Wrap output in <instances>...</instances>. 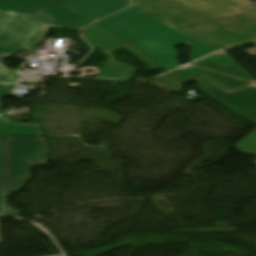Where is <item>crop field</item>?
<instances>
[{
	"mask_svg": "<svg viewBox=\"0 0 256 256\" xmlns=\"http://www.w3.org/2000/svg\"><path fill=\"white\" fill-rule=\"evenodd\" d=\"M88 23L53 0H0V82L18 80L3 59L35 43L45 27L79 30Z\"/></svg>",
	"mask_w": 256,
	"mask_h": 256,
	"instance_id": "8a807250",
	"label": "crop field"
},
{
	"mask_svg": "<svg viewBox=\"0 0 256 256\" xmlns=\"http://www.w3.org/2000/svg\"><path fill=\"white\" fill-rule=\"evenodd\" d=\"M96 24L126 39L167 71L177 67L174 47L180 43L192 45L191 61L217 50L196 44L189 39L192 35L135 8Z\"/></svg>",
	"mask_w": 256,
	"mask_h": 256,
	"instance_id": "ac0d7876",
	"label": "crop field"
},
{
	"mask_svg": "<svg viewBox=\"0 0 256 256\" xmlns=\"http://www.w3.org/2000/svg\"><path fill=\"white\" fill-rule=\"evenodd\" d=\"M171 74L184 83L206 74L229 90L254 83L228 92L206 76L197 79L204 84L200 86L202 92L256 124V81L227 51L212 54Z\"/></svg>",
	"mask_w": 256,
	"mask_h": 256,
	"instance_id": "34b2d1b8",
	"label": "crop field"
},
{
	"mask_svg": "<svg viewBox=\"0 0 256 256\" xmlns=\"http://www.w3.org/2000/svg\"><path fill=\"white\" fill-rule=\"evenodd\" d=\"M49 153L45 139H10L8 179L30 178L33 167L47 164Z\"/></svg>",
	"mask_w": 256,
	"mask_h": 256,
	"instance_id": "412701ff",
	"label": "crop field"
},
{
	"mask_svg": "<svg viewBox=\"0 0 256 256\" xmlns=\"http://www.w3.org/2000/svg\"><path fill=\"white\" fill-rule=\"evenodd\" d=\"M189 8L197 10L206 16L216 17L238 13L254 12L253 8L238 0H175Z\"/></svg>",
	"mask_w": 256,
	"mask_h": 256,
	"instance_id": "f4fd0767",
	"label": "crop field"
},
{
	"mask_svg": "<svg viewBox=\"0 0 256 256\" xmlns=\"http://www.w3.org/2000/svg\"><path fill=\"white\" fill-rule=\"evenodd\" d=\"M63 4L94 21L128 7L129 0H70Z\"/></svg>",
	"mask_w": 256,
	"mask_h": 256,
	"instance_id": "dd49c442",
	"label": "crop field"
},
{
	"mask_svg": "<svg viewBox=\"0 0 256 256\" xmlns=\"http://www.w3.org/2000/svg\"><path fill=\"white\" fill-rule=\"evenodd\" d=\"M83 33L86 34V36L89 38V40L92 42V44L97 49H99L101 52H103L106 55L112 53L113 51H115L119 48L124 47V48L132 51L137 57H139L143 62H145L151 68H153V69L159 68L158 65H156L155 63L150 61L143 54H141L139 51H137L134 47H132L128 43L112 36L111 34L107 33L106 31H104L103 29L99 28L98 26H96L94 24L91 27L83 30Z\"/></svg>",
	"mask_w": 256,
	"mask_h": 256,
	"instance_id": "e52e79f7",
	"label": "crop field"
},
{
	"mask_svg": "<svg viewBox=\"0 0 256 256\" xmlns=\"http://www.w3.org/2000/svg\"><path fill=\"white\" fill-rule=\"evenodd\" d=\"M43 136L41 127L37 125L9 122L0 118V137Z\"/></svg>",
	"mask_w": 256,
	"mask_h": 256,
	"instance_id": "d8731c3e",
	"label": "crop field"
},
{
	"mask_svg": "<svg viewBox=\"0 0 256 256\" xmlns=\"http://www.w3.org/2000/svg\"><path fill=\"white\" fill-rule=\"evenodd\" d=\"M28 179L25 180H0V197H1V213L10 216H20L21 210H14L7 206V197H11V193H17L25 188Z\"/></svg>",
	"mask_w": 256,
	"mask_h": 256,
	"instance_id": "5a996713",
	"label": "crop field"
},
{
	"mask_svg": "<svg viewBox=\"0 0 256 256\" xmlns=\"http://www.w3.org/2000/svg\"><path fill=\"white\" fill-rule=\"evenodd\" d=\"M9 139H0V179H7Z\"/></svg>",
	"mask_w": 256,
	"mask_h": 256,
	"instance_id": "3316defc",
	"label": "crop field"
},
{
	"mask_svg": "<svg viewBox=\"0 0 256 256\" xmlns=\"http://www.w3.org/2000/svg\"><path fill=\"white\" fill-rule=\"evenodd\" d=\"M242 153L256 157V130L235 146Z\"/></svg>",
	"mask_w": 256,
	"mask_h": 256,
	"instance_id": "28ad6ade",
	"label": "crop field"
},
{
	"mask_svg": "<svg viewBox=\"0 0 256 256\" xmlns=\"http://www.w3.org/2000/svg\"><path fill=\"white\" fill-rule=\"evenodd\" d=\"M54 256H62V255H54Z\"/></svg>",
	"mask_w": 256,
	"mask_h": 256,
	"instance_id": "d1516ede",
	"label": "crop field"
},
{
	"mask_svg": "<svg viewBox=\"0 0 256 256\" xmlns=\"http://www.w3.org/2000/svg\"><path fill=\"white\" fill-rule=\"evenodd\" d=\"M60 2L64 1V0H59Z\"/></svg>",
	"mask_w": 256,
	"mask_h": 256,
	"instance_id": "22f410ed",
	"label": "crop field"
},
{
	"mask_svg": "<svg viewBox=\"0 0 256 256\" xmlns=\"http://www.w3.org/2000/svg\"><path fill=\"white\" fill-rule=\"evenodd\" d=\"M0 243H1V237H0Z\"/></svg>",
	"mask_w": 256,
	"mask_h": 256,
	"instance_id": "cbeb9de0",
	"label": "crop field"
}]
</instances>
